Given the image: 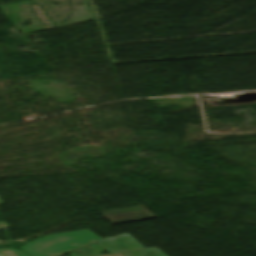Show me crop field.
I'll return each instance as SVG.
<instances>
[{"label":"crop field","mask_w":256,"mask_h":256,"mask_svg":"<svg viewBox=\"0 0 256 256\" xmlns=\"http://www.w3.org/2000/svg\"><path fill=\"white\" fill-rule=\"evenodd\" d=\"M100 239L91 230L85 229L42 237L21 249L32 256H58Z\"/></svg>","instance_id":"1"},{"label":"crop field","mask_w":256,"mask_h":256,"mask_svg":"<svg viewBox=\"0 0 256 256\" xmlns=\"http://www.w3.org/2000/svg\"><path fill=\"white\" fill-rule=\"evenodd\" d=\"M156 248L124 252V253L110 255V256H166Z\"/></svg>","instance_id":"4"},{"label":"crop field","mask_w":256,"mask_h":256,"mask_svg":"<svg viewBox=\"0 0 256 256\" xmlns=\"http://www.w3.org/2000/svg\"><path fill=\"white\" fill-rule=\"evenodd\" d=\"M0 256H29V255L17 249L5 248V249H0Z\"/></svg>","instance_id":"5"},{"label":"crop field","mask_w":256,"mask_h":256,"mask_svg":"<svg viewBox=\"0 0 256 256\" xmlns=\"http://www.w3.org/2000/svg\"><path fill=\"white\" fill-rule=\"evenodd\" d=\"M143 248L128 233L108 239H102L96 243L69 252V256H97L102 251L111 254Z\"/></svg>","instance_id":"2"},{"label":"crop field","mask_w":256,"mask_h":256,"mask_svg":"<svg viewBox=\"0 0 256 256\" xmlns=\"http://www.w3.org/2000/svg\"><path fill=\"white\" fill-rule=\"evenodd\" d=\"M0 204H3L1 199H0ZM9 228L4 222H0V229H7Z\"/></svg>","instance_id":"6"},{"label":"crop field","mask_w":256,"mask_h":256,"mask_svg":"<svg viewBox=\"0 0 256 256\" xmlns=\"http://www.w3.org/2000/svg\"><path fill=\"white\" fill-rule=\"evenodd\" d=\"M105 217H107L112 223H120L141 219L154 218L144 206H137L128 209L101 212Z\"/></svg>","instance_id":"3"}]
</instances>
